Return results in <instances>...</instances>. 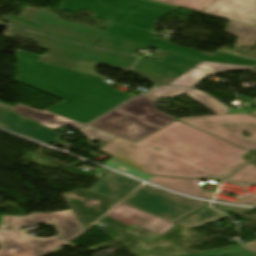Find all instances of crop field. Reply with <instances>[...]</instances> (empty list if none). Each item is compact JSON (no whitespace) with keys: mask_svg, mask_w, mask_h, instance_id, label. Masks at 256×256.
<instances>
[{"mask_svg":"<svg viewBox=\"0 0 256 256\" xmlns=\"http://www.w3.org/2000/svg\"><path fill=\"white\" fill-rule=\"evenodd\" d=\"M243 56L256 59V47H255L254 51H252L250 53H246Z\"/></svg>","mask_w":256,"mask_h":256,"instance_id":"obj_37","label":"crop field"},{"mask_svg":"<svg viewBox=\"0 0 256 256\" xmlns=\"http://www.w3.org/2000/svg\"><path fill=\"white\" fill-rule=\"evenodd\" d=\"M188 69L190 68L139 59L131 70L147 76L154 83L165 85Z\"/></svg>","mask_w":256,"mask_h":256,"instance_id":"obj_18","label":"crop field"},{"mask_svg":"<svg viewBox=\"0 0 256 256\" xmlns=\"http://www.w3.org/2000/svg\"><path fill=\"white\" fill-rule=\"evenodd\" d=\"M11 110H13L17 113H20L24 116H27L33 120H36L39 123L51 128L53 130L63 127V126H66V125H69L71 127L78 129L84 125V124L63 118L61 116L52 114L47 111H38V110L32 109L27 106H23V105H17L15 107H13Z\"/></svg>","mask_w":256,"mask_h":256,"instance_id":"obj_19","label":"crop field"},{"mask_svg":"<svg viewBox=\"0 0 256 256\" xmlns=\"http://www.w3.org/2000/svg\"><path fill=\"white\" fill-rule=\"evenodd\" d=\"M224 33H232L239 36L236 47L242 45H256V27L229 21Z\"/></svg>","mask_w":256,"mask_h":256,"instance_id":"obj_21","label":"crop field"},{"mask_svg":"<svg viewBox=\"0 0 256 256\" xmlns=\"http://www.w3.org/2000/svg\"><path fill=\"white\" fill-rule=\"evenodd\" d=\"M10 108L0 104V127L46 144L55 142L65 147L68 146L69 143L60 140L63 134L52 131L27 117L17 114L9 110Z\"/></svg>","mask_w":256,"mask_h":256,"instance_id":"obj_13","label":"crop field"},{"mask_svg":"<svg viewBox=\"0 0 256 256\" xmlns=\"http://www.w3.org/2000/svg\"><path fill=\"white\" fill-rule=\"evenodd\" d=\"M81 132L84 136H86L88 139H90L91 141L93 140H99L102 142H109L110 140H112L113 138H115L116 136H113L111 134L102 132L100 130L94 129L92 127H85L84 129H82Z\"/></svg>","mask_w":256,"mask_h":256,"instance_id":"obj_32","label":"crop field"},{"mask_svg":"<svg viewBox=\"0 0 256 256\" xmlns=\"http://www.w3.org/2000/svg\"><path fill=\"white\" fill-rule=\"evenodd\" d=\"M195 68L220 72V71H225L230 69H242V68H252V67L202 61L198 65H196Z\"/></svg>","mask_w":256,"mask_h":256,"instance_id":"obj_31","label":"crop field"},{"mask_svg":"<svg viewBox=\"0 0 256 256\" xmlns=\"http://www.w3.org/2000/svg\"><path fill=\"white\" fill-rule=\"evenodd\" d=\"M222 218H225V216L207 206L200 211L192 214L191 216L185 218L184 220L178 222V224L194 228L217 221Z\"/></svg>","mask_w":256,"mask_h":256,"instance_id":"obj_22","label":"crop field"},{"mask_svg":"<svg viewBox=\"0 0 256 256\" xmlns=\"http://www.w3.org/2000/svg\"><path fill=\"white\" fill-rule=\"evenodd\" d=\"M98 151L149 175L215 181L245 164L248 152L177 120L135 143L117 137Z\"/></svg>","mask_w":256,"mask_h":256,"instance_id":"obj_1","label":"crop field"},{"mask_svg":"<svg viewBox=\"0 0 256 256\" xmlns=\"http://www.w3.org/2000/svg\"><path fill=\"white\" fill-rule=\"evenodd\" d=\"M100 221L150 244L175 224L121 203Z\"/></svg>","mask_w":256,"mask_h":256,"instance_id":"obj_8","label":"crop field"},{"mask_svg":"<svg viewBox=\"0 0 256 256\" xmlns=\"http://www.w3.org/2000/svg\"><path fill=\"white\" fill-rule=\"evenodd\" d=\"M61 194L84 229L117 203L85 189Z\"/></svg>","mask_w":256,"mask_h":256,"instance_id":"obj_12","label":"crop field"},{"mask_svg":"<svg viewBox=\"0 0 256 256\" xmlns=\"http://www.w3.org/2000/svg\"><path fill=\"white\" fill-rule=\"evenodd\" d=\"M189 97L194 99L195 101L199 102L200 104L204 105L205 107L211 109L217 114H227L228 107L224 106L218 100L213 98L212 96L208 95L205 92L197 91L193 89L192 91L186 93ZM210 110V111H211Z\"/></svg>","mask_w":256,"mask_h":256,"instance_id":"obj_24","label":"crop field"},{"mask_svg":"<svg viewBox=\"0 0 256 256\" xmlns=\"http://www.w3.org/2000/svg\"><path fill=\"white\" fill-rule=\"evenodd\" d=\"M188 87H179V86H157L150 92H148L147 95L152 97H167V96H173L176 94H180L182 92L187 91Z\"/></svg>","mask_w":256,"mask_h":256,"instance_id":"obj_30","label":"crop field"},{"mask_svg":"<svg viewBox=\"0 0 256 256\" xmlns=\"http://www.w3.org/2000/svg\"><path fill=\"white\" fill-rule=\"evenodd\" d=\"M161 50L156 52L154 59L166 61V62L178 64V65H183V66H189V67H192L198 62H200V60L180 56L177 54H173V53H169Z\"/></svg>","mask_w":256,"mask_h":256,"instance_id":"obj_27","label":"crop field"},{"mask_svg":"<svg viewBox=\"0 0 256 256\" xmlns=\"http://www.w3.org/2000/svg\"><path fill=\"white\" fill-rule=\"evenodd\" d=\"M226 181L256 184V166L249 163Z\"/></svg>","mask_w":256,"mask_h":256,"instance_id":"obj_28","label":"crop field"},{"mask_svg":"<svg viewBox=\"0 0 256 256\" xmlns=\"http://www.w3.org/2000/svg\"><path fill=\"white\" fill-rule=\"evenodd\" d=\"M203 12L256 25V0H215Z\"/></svg>","mask_w":256,"mask_h":256,"instance_id":"obj_14","label":"crop field"},{"mask_svg":"<svg viewBox=\"0 0 256 256\" xmlns=\"http://www.w3.org/2000/svg\"><path fill=\"white\" fill-rule=\"evenodd\" d=\"M156 101L141 95L89 126L135 142L175 120L156 110Z\"/></svg>","mask_w":256,"mask_h":256,"instance_id":"obj_3","label":"crop field"},{"mask_svg":"<svg viewBox=\"0 0 256 256\" xmlns=\"http://www.w3.org/2000/svg\"><path fill=\"white\" fill-rule=\"evenodd\" d=\"M141 183L126 177L108 172L101 180L88 190L108 197L113 200H121Z\"/></svg>","mask_w":256,"mask_h":256,"instance_id":"obj_15","label":"crop field"},{"mask_svg":"<svg viewBox=\"0 0 256 256\" xmlns=\"http://www.w3.org/2000/svg\"><path fill=\"white\" fill-rule=\"evenodd\" d=\"M8 33L31 39L41 48L49 51L39 61L72 69L80 60L102 63L114 67L129 68L136 57H130L109 52L97 51L91 48L67 43L38 34L26 32L11 27Z\"/></svg>","mask_w":256,"mask_h":256,"instance_id":"obj_5","label":"crop field"},{"mask_svg":"<svg viewBox=\"0 0 256 256\" xmlns=\"http://www.w3.org/2000/svg\"><path fill=\"white\" fill-rule=\"evenodd\" d=\"M2 218L3 223L0 228L19 229L32 224H53L64 241L73 238L84 230L71 210L54 213H32L28 216H2ZM9 224L14 226H9Z\"/></svg>","mask_w":256,"mask_h":256,"instance_id":"obj_11","label":"crop field"},{"mask_svg":"<svg viewBox=\"0 0 256 256\" xmlns=\"http://www.w3.org/2000/svg\"><path fill=\"white\" fill-rule=\"evenodd\" d=\"M19 17L96 38H99L100 34L102 33V30L85 27L68 21H62L59 20V15L48 13L31 7L25 8Z\"/></svg>","mask_w":256,"mask_h":256,"instance_id":"obj_16","label":"crop field"},{"mask_svg":"<svg viewBox=\"0 0 256 256\" xmlns=\"http://www.w3.org/2000/svg\"><path fill=\"white\" fill-rule=\"evenodd\" d=\"M123 203L172 222L207 204L179 197L148 185L141 187Z\"/></svg>","mask_w":256,"mask_h":256,"instance_id":"obj_7","label":"crop field"},{"mask_svg":"<svg viewBox=\"0 0 256 256\" xmlns=\"http://www.w3.org/2000/svg\"><path fill=\"white\" fill-rule=\"evenodd\" d=\"M202 12L214 0H158Z\"/></svg>","mask_w":256,"mask_h":256,"instance_id":"obj_29","label":"crop field"},{"mask_svg":"<svg viewBox=\"0 0 256 256\" xmlns=\"http://www.w3.org/2000/svg\"><path fill=\"white\" fill-rule=\"evenodd\" d=\"M215 201L256 205V191L251 196L243 198V199L239 200L238 202H233V201H228V200H223V199H218V200H215Z\"/></svg>","mask_w":256,"mask_h":256,"instance_id":"obj_35","label":"crop field"},{"mask_svg":"<svg viewBox=\"0 0 256 256\" xmlns=\"http://www.w3.org/2000/svg\"><path fill=\"white\" fill-rule=\"evenodd\" d=\"M177 8L149 0H63L59 9L70 12L85 10L94 13L93 17L152 30L159 18Z\"/></svg>","mask_w":256,"mask_h":256,"instance_id":"obj_4","label":"crop field"},{"mask_svg":"<svg viewBox=\"0 0 256 256\" xmlns=\"http://www.w3.org/2000/svg\"><path fill=\"white\" fill-rule=\"evenodd\" d=\"M242 246L244 248H247L249 250L256 252V241L255 240L252 242L244 243V244H242Z\"/></svg>","mask_w":256,"mask_h":256,"instance_id":"obj_36","label":"crop field"},{"mask_svg":"<svg viewBox=\"0 0 256 256\" xmlns=\"http://www.w3.org/2000/svg\"><path fill=\"white\" fill-rule=\"evenodd\" d=\"M180 256H256V255L238 247H230V248L203 251V252L193 253L191 255H180Z\"/></svg>","mask_w":256,"mask_h":256,"instance_id":"obj_25","label":"crop field"},{"mask_svg":"<svg viewBox=\"0 0 256 256\" xmlns=\"http://www.w3.org/2000/svg\"><path fill=\"white\" fill-rule=\"evenodd\" d=\"M148 181L154 182L168 189L205 199H211L214 194L213 192L200 189L202 186L196 185L199 183V181L196 180L153 176Z\"/></svg>","mask_w":256,"mask_h":256,"instance_id":"obj_20","label":"crop field"},{"mask_svg":"<svg viewBox=\"0 0 256 256\" xmlns=\"http://www.w3.org/2000/svg\"><path fill=\"white\" fill-rule=\"evenodd\" d=\"M104 33L200 60L256 66L255 60L246 59L224 52L218 51L215 56H206L200 51L173 45L168 41L155 38V33L149 30L109 22Z\"/></svg>","mask_w":256,"mask_h":256,"instance_id":"obj_9","label":"crop field"},{"mask_svg":"<svg viewBox=\"0 0 256 256\" xmlns=\"http://www.w3.org/2000/svg\"><path fill=\"white\" fill-rule=\"evenodd\" d=\"M97 66V64L81 61L79 62L72 70L92 74L99 76L95 71L94 68Z\"/></svg>","mask_w":256,"mask_h":256,"instance_id":"obj_34","label":"crop field"},{"mask_svg":"<svg viewBox=\"0 0 256 256\" xmlns=\"http://www.w3.org/2000/svg\"><path fill=\"white\" fill-rule=\"evenodd\" d=\"M60 244L58 236L36 238L26 231L0 230V256H38Z\"/></svg>","mask_w":256,"mask_h":256,"instance_id":"obj_10","label":"crop field"},{"mask_svg":"<svg viewBox=\"0 0 256 256\" xmlns=\"http://www.w3.org/2000/svg\"><path fill=\"white\" fill-rule=\"evenodd\" d=\"M98 45L102 46L104 49L126 53L130 55L133 54L135 48H140V49L148 48L145 45L130 42L127 40H123V39L112 37L105 34H103V36L101 37Z\"/></svg>","mask_w":256,"mask_h":256,"instance_id":"obj_23","label":"crop field"},{"mask_svg":"<svg viewBox=\"0 0 256 256\" xmlns=\"http://www.w3.org/2000/svg\"><path fill=\"white\" fill-rule=\"evenodd\" d=\"M4 18L11 26L23 28L26 30H30V31H34V32H38V33H42V34H46V35H50V36H54V37L63 38V39L69 40V41H73V42L91 46V47H94V45L97 41L96 38H92V37L80 35L77 33L45 26V25L35 23V22L29 21V20L16 18L14 16H8V17H4Z\"/></svg>","mask_w":256,"mask_h":256,"instance_id":"obj_17","label":"crop field"},{"mask_svg":"<svg viewBox=\"0 0 256 256\" xmlns=\"http://www.w3.org/2000/svg\"><path fill=\"white\" fill-rule=\"evenodd\" d=\"M38 56L16 50L14 80L65 100L47 111L86 124L133 97L112 89L101 78L38 63Z\"/></svg>","mask_w":256,"mask_h":256,"instance_id":"obj_2","label":"crop field"},{"mask_svg":"<svg viewBox=\"0 0 256 256\" xmlns=\"http://www.w3.org/2000/svg\"><path fill=\"white\" fill-rule=\"evenodd\" d=\"M179 121L246 150L256 149V118L248 114L180 118ZM243 131L252 134V136L248 138L242 136Z\"/></svg>","mask_w":256,"mask_h":256,"instance_id":"obj_6","label":"crop field"},{"mask_svg":"<svg viewBox=\"0 0 256 256\" xmlns=\"http://www.w3.org/2000/svg\"><path fill=\"white\" fill-rule=\"evenodd\" d=\"M252 114L256 115V111L252 112Z\"/></svg>","mask_w":256,"mask_h":256,"instance_id":"obj_38","label":"crop field"},{"mask_svg":"<svg viewBox=\"0 0 256 256\" xmlns=\"http://www.w3.org/2000/svg\"><path fill=\"white\" fill-rule=\"evenodd\" d=\"M104 165H107L109 167H112L118 171H121V172H126V173H130L134 176H137V177H140V178H143L145 180L149 179L151 176L147 175V174H144L138 170H135L133 168H130L120 162H118L117 160L115 159H110L108 162L104 163Z\"/></svg>","mask_w":256,"mask_h":256,"instance_id":"obj_33","label":"crop field"},{"mask_svg":"<svg viewBox=\"0 0 256 256\" xmlns=\"http://www.w3.org/2000/svg\"><path fill=\"white\" fill-rule=\"evenodd\" d=\"M213 73L215 72L192 68L180 78L178 77L179 79H175L176 81L170 83L169 85L193 87L196 84V82L199 81L202 77Z\"/></svg>","mask_w":256,"mask_h":256,"instance_id":"obj_26","label":"crop field"}]
</instances>
